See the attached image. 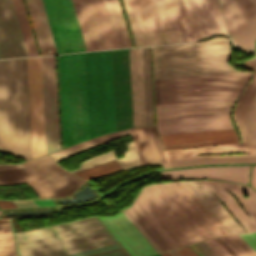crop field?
Instances as JSON below:
<instances>
[{
    "instance_id": "obj_1",
    "label": "crop field",
    "mask_w": 256,
    "mask_h": 256,
    "mask_svg": "<svg viewBox=\"0 0 256 256\" xmlns=\"http://www.w3.org/2000/svg\"><path fill=\"white\" fill-rule=\"evenodd\" d=\"M236 98L156 105L160 134L232 127L229 110ZM163 145L207 142L164 147L186 148L238 142L234 128L160 135Z\"/></svg>"
},
{
    "instance_id": "obj_2",
    "label": "crop field",
    "mask_w": 256,
    "mask_h": 256,
    "mask_svg": "<svg viewBox=\"0 0 256 256\" xmlns=\"http://www.w3.org/2000/svg\"><path fill=\"white\" fill-rule=\"evenodd\" d=\"M0 151L31 159L26 58L0 60Z\"/></svg>"
},
{
    "instance_id": "obj_3",
    "label": "crop field",
    "mask_w": 256,
    "mask_h": 256,
    "mask_svg": "<svg viewBox=\"0 0 256 256\" xmlns=\"http://www.w3.org/2000/svg\"><path fill=\"white\" fill-rule=\"evenodd\" d=\"M138 198L180 246L220 235L175 182L148 185Z\"/></svg>"
},
{
    "instance_id": "obj_4",
    "label": "crop field",
    "mask_w": 256,
    "mask_h": 256,
    "mask_svg": "<svg viewBox=\"0 0 256 256\" xmlns=\"http://www.w3.org/2000/svg\"><path fill=\"white\" fill-rule=\"evenodd\" d=\"M18 256H58L117 240L95 217L14 234Z\"/></svg>"
},
{
    "instance_id": "obj_5",
    "label": "crop field",
    "mask_w": 256,
    "mask_h": 256,
    "mask_svg": "<svg viewBox=\"0 0 256 256\" xmlns=\"http://www.w3.org/2000/svg\"><path fill=\"white\" fill-rule=\"evenodd\" d=\"M154 79L243 72L228 61L229 39L217 37L204 42L152 47Z\"/></svg>"
},
{
    "instance_id": "obj_6",
    "label": "crop field",
    "mask_w": 256,
    "mask_h": 256,
    "mask_svg": "<svg viewBox=\"0 0 256 256\" xmlns=\"http://www.w3.org/2000/svg\"><path fill=\"white\" fill-rule=\"evenodd\" d=\"M256 55L247 60L243 66L256 71ZM255 60V61H254ZM254 61V62H252ZM252 62V63H250ZM254 66L255 68H253ZM256 74V72H255ZM254 74V76H255ZM253 76V78H254ZM249 82L239 100L237 101L234 110H233V121L241 135L243 143H234V144H226L221 146H212V147H202V148H193L186 150H173V151H164L167 163H164V168L170 167L168 159H178V158H186L194 154H220V153H241V152H255L248 151L256 150V76L253 80ZM253 80V82H252ZM252 82V84H251ZM251 84V85H250ZM250 85V87H249ZM249 87V89H248ZM248 89V91H247ZM247 91V93H246ZM246 93V95H245ZM245 95V97H244ZM244 100L242 102V99ZM242 102V104H241ZM241 104V106H240ZM240 106V110H239ZM239 110V114H238ZM238 114V118H237ZM237 118V122H236ZM256 153V152H255ZM254 153V154H255ZM171 167L175 166H185V165H196V164H210V163H235V162H256V155H233V156H206V157H194V158H186V159H178V160H169Z\"/></svg>"
},
{
    "instance_id": "obj_7",
    "label": "crop field",
    "mask_w": 256,
    "mask_h": 256,
    "mask_svg": "<svg viewBox=\"0 0 256 256\" xmlns=\"http://www.w3.org/2000/svg\"><path fill=\"white\" fill-rule=\"evenodd\" d=\"M63 148L89 138L84 53L58 55Z\"/></svg>"
},
{
    "instance_id": "obj_8",
    "label": "crop field",
    "mask_w": 256,
    "mask_h": 256,
    "mask_svg": "<svg viewBox=\"0 0 256 256\" xmlns=\"http://www.w3.org/2000/svg\"><path fill=\"white\" fill-rule=\"evenodd\" d=\"M252 72L154 80L156 104L239 96Z\"/></svg>"
},
{
    "instance_id": "obj_9",
    "label": "crop field",
    "mask_w": 256,
    "mask_h": 256,
    "mask_svg": "<svg viewBox=\"0 0 256 256\" xmlns=\"http://www.w3.org/2000/svg\"><path fill=\"white\" fill-rule=\"evenodd\" d=\"M90 138L115 131L111 50L85 53Z\"/></svg>"
},
{
    "instance_id": "obj_10",
    "label": "crop field",
    "mask_w": 256,
    "mask_h": 256,
    "mask_svg": "<svg viewBox=\"0 0 256 256\" xmlns=\"http://www.w3.org/2000/svg\"><path fill=\"white\" fill-rule=\"evenodd\" d=\"M133 33L179 29L170 0H123ZM137 46L183 42L179 30L133 34Z\"/></svg>"
},
{
    "instance_id": "obj_11",
    "label": "crop field",
    "mask_w": 256,
    "mask_h": 256,
    "mask_svg": "<svg viewBox=\"0 0 256 256\" xmlns=\"http://www.w3.org/2000/svg\"><path fill=\"white\" fill-rule=\"evenodd\" d=\"M27 182L40 198L62 197L84 181L56 163L0 171V185Z\"/></svg>"
},
{
    "instance_id": "obj_12",
    "label": "crop field",
    "mask_w": 256,
    "mask_h": 256,
    "mask_svg": "<svg viewBox=\"0 0 256 256\" xmlns=\"http://www.w3.org/2000/svg\"><path fill=\"white\" fill-rule=\"evenodd\" d=\"M183 41L226 34L217 0H171Z\"/></svg>"
},
{
    "instance_id": "obj_13",
    "label": "crop field",
    "mask_w": 256,
    "mask_h": 256,
    "mask_svg": "<svg viewBox=\"0 0 256 256\" xmlns=\"http://www.w3.org/2000/svg\"><path fill=\"white\" fill-rule=\"evenodd\" d=\"M87 51L118 48L104 0H72Z\"/></svg>"
},
{
    "instance_id": "obj_14",
    "label": "crop field",
    "mask_w": 256,
    "mask_h": 256,
    "mask_svg": "<svg viewBox=\"0 0 256 256\" xmlns=\"http://www.w3.org/2000/svg\"><path fill=\"white\" fill-rule=\"evenodd\" d=\"M58 53L86 51L71 0H42Z\"/></svg>"
},
{
    "instance_id": "obj_15",
    "label": "crop field",
    "mask_w": 256,
    "mask_h": 256,
    "mask_svg": "<svg viewBox=\"0 0 256 256\" xmlns=\"http://www.w3.org/2000/svg\"><path fill=\"white\" fill-rule=\"evenodd\" d=\"M220 3L235 45L242 52H255L256 0H220Z\"/></svg>"
},
{
    "instance_id": "obj_16",
    "label": "crop field",
    "mask_w": 256,
    "mask_h": 256,
    "mask_svg": "<svg viewBox=\"0 0 256 256\" xmlns=\"http://www.w3.org/2000/svg\"><path fill=\"white\" fill-rule=\"evenodd\" d=\"M32 158L46 154L40 57L27 58Z\"/></svg>"
},
{
    "instance_id": "obj_17",
    "label": "crop field",
    "mask_w": 256,
    "mask_h": 256,
    "mask_svg": "<svg viewBox=\"0 0 256 256\" xmlns=\"http://www.w3.org/2000/svg\"><path fill=\"white\" fill-rule=\"evenodd\" d=\"M202 181L223 201L230 213L247 231L256 230V192L254 190L241 184ZM221 184L235 196L250 218ZM245 193L249 198L246 199L243 196Z\"/></svg>"
},
{
    "instance_id": "obj_18",
    "label": "crop field",
    "mask_w": 256,
    "mask_h": 256,
    "mask_svg": "<svg viewBox=\"0 0 256 256\" xmlns=\"http://www.w3.org/2000/svg\"><path fill=\"white\" fill-rule=\"evenodd\" d=\"M47 153L60 148L54 56L41 57Z\"/></svg>"
},
{
    "instance_id": "obj_19",
    "label": "crop field",
    "mask_w": 256,
    "mask_h": 256,
    "mask_svg": "<svg viewBox=\"0 0 256 256\" xmlns=\"http://www.w3.org/2000/svg\"><path fill=\"white\" fill-rule=\"evenodd\" d=\"M28 56L11 0H0V59Z\"/></svg>"
},
{
    "instance_id": "obj_20",
    "label": "crop field",
    "mask_w": 256,
    "mask_h": 256,
    "mask_svg": "<svg viewBox=\"0 0 256 256\" xmlns=\"http://www.w3.org/2000/svg\"><path fill=\"white\" fill-rule=\"evenodd\" d=\"M102 223L110 230L131 256H145L156 253L153 247L132 225V223L120 213L116 217H98Z\"/></svg>"
},
{
    "instance_id": "obj_21",
    "label": "crop field",
    "mask_w": 256,
    "mask_h": 256,
    "mask_svg": "<svg viewBox=\"0 0 256 256\" xmlns=\"http://www.w3.org/2000/svg\"><path fill=\"white\" fill-rule=\"evenodd\" d=\"M250 166H224L161 172L160 179L216 178L248 184Z\"/></svg>"
},
{
    "instance_id": "obj_22",
    "label": "crop field",
    "mask_w": 256,
    "mask_h": 256,
    "mask_svg": "<svg viewBox=\"0 0 256 256\" xmlns=\"http://www.w3.org/2000/svg\"><path fill=\"white\" fill-rule=\"evenodd\" d=\"M228 234L245 232L229 215L215 195L200 181H183Z\"/></svg>"
},
{
    "instance_id": "obj_23",
    "label": "crop field",
    "mask_w": 256,
    "mask_h": 256,
    "mask_svg": "<svg viewBox=\"0 0 256 256\" xmlns=\"http://www.w3.org/2000/svg\"><path fill=\"white\" fill-rule=\"evenodd\" d=\"M129 130L142 165L166 162L155 126Z\"/></svg>"
},
{
    "instance_id": "obj_24",
    "label": "crop field",
    "mask_w": 256,
    "mask_h": 256,
    "mask_svg": "<svg viewBox=\"0 0 256 256\" xmlns=\"http://www.w3.org/2000/svg\"><path fill=\"white\" fill-rule=\"evenodd\" d=\"M133 127L145 125L141 48L129 49Z\"/></svg>"
},
{
    "instance_id": "obj_25",
    "label": "crop field",
    "mask_w": 256,
    "mask_h": 256,
    "mask_svg": "<svg viewBox=\"0 0 256 256\" xmlns=\"http://www.w3.org/2000/svg\"><path fill=\"white\" fill-rule=\"evenodd\" d=\"M41 55L57 53L41 0H25Z\"/></svg>"
},
{
    "instance_id": "obj_26",
    "label": "crop field",
    "mask_w": 256,
    "mask_h": 256,
    "mask_svg": "<svg viewBox=\"0 0 256 256\" xmlns=\"http://www.w3.org/2000/svg\"><path fill=\"white\" fill-rule=\"evenodd\" d=\"M105 3L118 43V47L122 48L132 46L119 4V0H105Z\"/></svg>"
},
{
    "instance_id": "obj_27",
    "label": "crop field",
    "mask_w": 256,
    "mask_h": 256,
    "mask_svg": "<svg viewBox=\"0 0 256 256\" xmlns=\"http://www.w3.org/2000/svg\"><path fill=\"white\" fill-rule=\"evenodd\" d=\"M127 145H128L129 151L123 152L124 158L117 159L114 151L112 150L82 162L79 167L71 170L70 172L74 173L114 158L118 160V162L120 163L123 169L127 167L141 165L135 151L134 143L133 142L128 143Z\"/></svg>"
},
{
    "instance_id": "obj_28",
    "label": "crop field",
    "mask_w": 256,
    "mask_h": 256,
    "mask_svg": "<svg viewBox=\"0 0 256 256\" xmlns=\"http://www.w3.org/2000/svg\"><path fill=\"white\" fill-rule=\"evenodd\" d=\"M129 134L130 133H129L128 129L119 131L116 133L108 134V135H105V136H102V137H99V138H96V139H93V140H90V141H87V142H84V143H81V144H78V145H75L72 147L66 148L64 150L49 154V156L52 157L56 162H58V161L65 159L73 154L82 152V151H84L88 148H91L93 146H96L98 144L104 143V142L109 141L114 138L129 135Z\"/></svg>"
},
{
    "instance_id": "obj_29",
    "label": "crop field",
    "mask_w": 256,
    "mask_h": 256,
    "mask_svg": "<svg viewBox=\"0 0 256 256\" xmlns=\"http://www.w3.org/2000/svg\"><path fill=\"white\" fill-rule=\"evenodd\" d=\"M146 125L153 124L149 47L142 48Z\"/></svg>"
},
{
    "instance_id": "obj_30",
    "label": "crop field",
    "mask_w": 256,
    "mask_h": 256,
    "mask_svg": "<svg viewBox=\"0 0 256 256\" xmlns=\"http://www.w3.org/2000/svg\"><path fill=\"white\" fill-rule=\"evenodd\" d=\"M214 240L231 256H256L238 235L214 238Z\"/></svg>"
},
{
    "instance_id": "obj_31",
    "label": "crop field",
    "mask_w": 256,
    "mask_h": 256,
    "mask_svg": "<svg viewBox=\"0 0 256 256\" xmlns=\"http://www.w3.org/2000/svg\"><path fill=\"white\" fill-rule=\"evenodd\" d=\"M13 4H14L15 11H16V14L18 17V21H19L20 28H21L23 38L25 41V45H26V48L28 51V55L29 56L38 55L34 41H33V37L31 34V30L29 27V23H28V20L26 17V13L24 10L22 0H13Z\"/></svg>"
},
{
    "instance_id": "obj_32",
    "label": "crop field",
    "mask_w": 256,
    "mask_h": 256,
    "mask_svg": "<svg viewBox=\"0 0 256 256\" xmlns=\"http://www.w3.org/2000/svg\"><path fill=\"white\" fill-rule=\"evenodd\" d=\"M162 251L171 249L134 205L126 209Z\"/></svg>"
},
{
    "instance_id": "obj_33",
    "label": "crop field",
    "mask_w": 256,
    "mask_h": 256,
    "mask_svg": "<svg viewBox=\"0 0 256 256\" xmlns=\"http://www.w3.org/2000/svg\"><path fill=\"white\" fill-rule=\"evenodd\" d=\"M62 256H130L119 244H112Z\"/></svg>"
},
{
    "instance_id": "obj_34",
    "label": "crop field",
    "mask_w": 256,
    "mask_h": 256,
    "mask_svg": "<svg viewBox=\"0 0 256 256\" xmlns=\"http://www.w3.org/2000/svg\"><path fill=\"white\" fill-rule=\"evenodd\" d=\"M136 208L143 214L149 223L156 229L162 238L169 244L171 248L178 247L176 241L167 233V231L158 223V221L149 213V211L136 198L133 203Z\"/></svg>"
},
{
    "instance_id": "obj_35",
    "label": "crop field",
    "mask_w": 256,
    "mask_h": 256,
    "mask_svg": "<svg viewBox=\"0 0 256 256\" xmlns=\"http://www.w3.org/2000/svg\"><path fill=\"white\" fill-rule=\"evenodd\" d=\"M121 169L116 159L111 160L109 162L97 165L95 167L74 173L75 175L79 176L80 178L86 180L95 176H99L111 171H115Z\"/></svg>"
},
{
    "instance_id": "obj_36",
    "label": "crop field",
    "mask_w": 256,
    "mask_h": 256,
    "mask_svg": "<svg viewBox=\"0 0 256 256\" xmlns=\"http://www.w3.org/2000/svg\"><path fill=\"white\" fill-rule=\"evenodd\" d=\"M176 183L205 215V217L212 223V225L219 231V233L221 235L227 234L225 230L218 224V222L211 216V214L204 208V206L198 201V199L191 193V191L184 185V183L182 181H178Z\"/></svg>"
},
{
    "instance_id": "obj_37",
    "label": "crop field",
    "mask_w": 256,
    "mask_h": 256,
    "mask_svg": "<svg viewBox=\"0 0 256 256\" xmlns=\"http://www.w3.org/2000/svg\"><path fill=\"white\" fill-rule=\"evenodd\" d=\"M54 162L48 155L36 158L30 161H27L22 164H0V170L2 169H9V168H16V167H23V166H31V165H38V164H45V163H52Z\"/></svg>"
},
{
    "instance_id": "obj_38",
    "label": "crop field",
    "mask_w": 256,
    "mask_h": 256,
    "mask_svg": "<svg viewBox=\"0 0 256 256\" xmlns=\"http://www.w3.org/2000/svg\"><path fill=\"white\" fill-rule=\"evenodd\" d=\"M126 216L132 221V223L138 228V230L143 234V236L149 241V243L155 248L157 252H160L161 250L158 248V246L151 240V238L143 231V229L136 223V221L129 215V213L124 210L123 211Z\"/></svg>"
},
{
    "instance_id": "obj_39",
    "label": "crop field",
    "mask_w": 256,
    "mask_h": 256,
    "mask_svg": "<svg viewBox=\"0 0 256 256\" xmlns=\"http://www.w3.org/2000/svg\"><path fill=\"white\" fill-rule=\"evenodd\" d=\"M252 249L256 251V232L239 235Z\"/></svg>"
},
{
    "instance_id": "obj_40",
    "label": "crop field",
    "mask_w": 256,
    "mask_h": 256,
    "mask_svg": "<svg viewBox=\"0 0 256 256\" xmlns=\"http://www.w3.org/2000/svg\"><path fill=\"white\" fill-rule=\"evenodd\" d=\"M205 243L219 256H229L213 239L205 241Z\"/></svg>"
},
{
    "instance_id": "obj_41",
    "label": "crop field",
    "mask_w": 256,
    "mask_h": 256,
    "mask_svg": "<svg viewBox=\"0 0 256 256\" xmlns=\"http://www.w3.org/2000/svg\"><path fill=\"white\" fill-rule=\"evenodd\" d=\"M205 256H218L204 242L194 244Z\"/></svg>"
},
{
    "instance_id": "obj_42",
    "label": "crop field",
    "mask_w": 256,
    "mask_h": 256,
    "mask_svg": "<svg viewBox=\"0 0 256 256\" xmlns=\"http://www.w3.org/2000/svg\"><path fill=\"white\" fill-rule=\"evenodd\" d=\"M0 256H16L13 244L0 247Z\"/></svg>"
},
{
    "instance_id": "obj_43",
    "label": "crop field",
    "mask_w": 256,
    "mask_h": 256,
    "mask_svg": "<svg viewBox=\"0 0 256 256\" xmlns=\"http://www.w3.org/2000/svg\"><path fill=\"white\" fill-rule=\"evenodd\" d=\"M13 243L11 231L0 234V246Z\"/></svg>"
},
{
    "instance_id": "obj_44",
    "label": "crop field",
    "mask_w": 256,
    "mask_h": 256,
    "mask_svg": "<svg viewBox=\"0 0 256 256\" xmlns=\"http://www.w3.org/2000/svg\"><path fill=\"white\" fill-rule=\"evenodd\" d=\"M182 256H198L188 246L176 249Z\"/></svg>"
},
{
    "instance_id": "obj_45",
    "label": "crop field",
    "mask_w": 256,
    "mask_h": 256,
    "mask_svg": "<svg viewBox=\"0 0 256 256\" xmlns=\"http://www.w3.org/2000/svg\"><path fill=\"white\" fill-rule=\"evenodd\" d=\"M37 206L55 205L51 199L48 200H34Z\"/></svg>"
},
{
    "instance_id": "obj_46",
    "label": "crop field",
    "mask_w": 256,
    "mask_h": 256,
    "mask_svg": "<svg viewBox=\"0 0 256 256\" xmlns=\"http://www.w3.org/2000/svg\"><path fill=\"white\" fill-rule=\"evenodd\" d=\"M17 207H24V206H35L32 200L29 201H21V202H14Z\"/></svg>"
},
{
    "instance_id": "obj_47",
    "label": "crop field",
    "mask_w": 256,
    "mask_h": 256,
    "mask_svg": "<svg viewBox=\"0 0 256 256\" xmlns=\"http://www.w3.org/2000/svg\"><path fill=\"white\" fill-rule=\"evenodd\" d=\"M16 207L13 202L0 201V208H11Z\"/></svg>"
},
{
    "instance_id": "obj_48",
    "label": "crop field",
    "mask_w": 256,
    "mask_h": 256,
    "mask_svg": "<svg viewBox=\"0 0 256 256\" xmlns=\"http://www.w3.org/2000/svg\"><path fill=\"white\" fill-rule=\"evenodd\" d=\"M11 230L9 222L0 224V233Z\"/></svg>"
},
{
    "instance_id": "obj_49",
    "label": "crop field",
    "mask_w": 256,
    "mask_h": 256,
    "mask_svg": "<svg viewBox=\"0 0 256 256\" xmlns=\"http://www.w3.org/2000/svg\"><path fill=\"white\" fill-rule=\"evenodd\" d=\"M251 186L256 188V166H253Z\"/></svg>"
},
{
    "instance_id": "obj_50",
    "label": "crop field",
    "mask_w": 256,
    "mask_h": 256,
    "mask_svg": "<svg viewBox=\"0 0 256 256\" xmlns=\"http://www.w3.org/2000/svg\"><path fill=\"white\" fill-rule=\"evenodd\" d=\"M171 256H181L175 249L168 251Z\"/></svg>"
},
{
    "instance_id": "obj_51",
    "label": "crop field",
    "mask_w": 256,
    "mask_h": 256,
    "mask_svg": "<svg viewBox=\"0 0 256 256\" xmlns=\"http://www.w3.org/2000/svg\"><path fill=\"white\" fill-rule=\"evenodd\" d=\"M161 256H170L167 252L160 253Z\"/></svg>"
},
{
    "instance_id": "obj_52",
    "label": "crop field",
    "mask_w": 256,
    "mask_h": 256,
    "mask_svg": "<svg viewBox=\"0 0 256 256\" xmlns=\"http://www.w3.org/2000/svg\"><path fill=\"white\" fill-rule=\"evenodd\" d=\"M153 256H160L159 254H157V255H153Z\"/></svg>"
},
{
    "instance_id": "obj_53",
    "label": "crop field",
    "mask_w": 256,
    "mask_h": 256,
    "mask_svg": "<svg viewBox=\"0 0 256 256\" xmlns=\"http://www.w3.org/2000/svg\"><path fill=\"white\" fill-rule=\"evenodd\" d=\"M1 212V211H0Z\"/></svg>"
}]
</instances>
